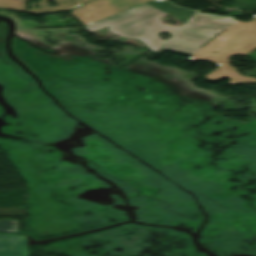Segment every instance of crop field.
<instances>
[{
    "mask_svg": "<svg viewBox=\"0 0 256 256\" xmlns=\"http://www.w3.org/2000/svg\"><path fill=\"white\" fill-rule=\"evenodd\" d=\"M0 256H27L25 237L0 234Z\"/></svg>",
    "mask_w": 256,
    "mask_h": 256,
    "instance_id": "obj_1",
    "label": "crop field"
},
{
    "mask_svg": "<svg viewBox=\"0 0 256 256\" xmlns=\"http://www.w3.org/2000/svg\"><path fill=\"white\" fill-rule=\"evenodd\" d=\"M18 221H12V220H2L0 221V232H9V233H15L17 232V224Z\"/></svg>",
    "mask_w": 256,
    "mask_h": 256,
    "instance_id": "obj_2",
    "label": "crop field"
}]
</instances>
